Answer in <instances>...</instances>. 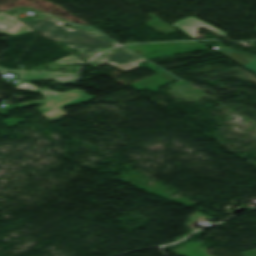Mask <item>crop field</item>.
Returning <instances> with one entry per match:
<instances>
[{
  "label": "crop field",
  "instance_id": "obj_1",
  "mask_svg": "<svg viewBox=\"0 0 256 256\" xmlns=\"http://www.w3.org/2000/svg\"><path fill=\"white\" fill-rule=\"evenodd\" d=\"M21 13L9 14L47 38L56 39L72 48L78 49L77 54L84 61H89L95 55L112 47L114 43L97 32H86L79 28H66L62 24L42 15L39 18L23 20Z\"/></svg>",
  "mask_w": 256,
  "mask_h": 256
},
{
  "label": "crop field",
  "instance_id": "obj_2",
  "mask_svg": "<svg viewBox=\"0 0 256 256\" xmlns=\"http://www.w3.org/2000/svg\"><path fill=\"white\" fill-rule=\"evenodd\" d=\"M51 92V94H49ZM45 100L27 102L22 104H17L19 108L37 105L45 103L48 106H43L37 111H39L44 117H46L49 121H54L60 118V115H64L65 113L61 112L59 109L70 104H75L86 99L92 98L91 96L81 92L80 90H71L65 93H55L53 91L44 90L42 91ZM47 95V96H45ZM52 95V97H50ZM53 98V100H51Z\"/></svg>",
  "mask_w": 256,
  "mask_h": 256
},
{
  "label": "crop field",
  "instance_id": "obj_3",
  "mask_svg": "<svg viewBox=\"0 0 256 256\" xmlns=\"http://www.w3.org/2000/svg\"><path fill=\"white\" fill-rule=\"evenodd\" d=\"M145 61L141 57L135 55L134 53L128 51L127 49L119 46L117 48L111 49L104 54L100 55L94 59L91 64L96 67L105 63H110L116 68L124 71L131 68L139 67L136 62Z\"/></svg>",
  "mask_w": 256,
  "mask_h": 256
},
{
  "label": "crop field",
  "instance_id": "obj_4",
  "mask_svg": "<svg viewBox=\"0 0 256 256\" xmlns=\"http://www.w3.org/2000/svg\"><path fill=\"white\" fill-rule=\"evenodd\" d=\"M14 72L20 75L22 79H43V78H53L58 82H69L75 78L76 73H57V72H48L41 71L42 73H35L36 70L28 71V70H9L0 67V73L5 72Z\"/></svg>",
  "mask_w": 256,
  "mask_h": 256
},
{
  "label": "crop field",
  "instance_id": "obj_5",
  "mask_svg": "<svg viewBox=\"0 0 256 256\" xmlns=\"http://www.w3.org/2000/svg\"><path fill=\"white\" fill-rule=\"evenodd\" d=\"M1 15H5L2 17ZM0 33L6 35H18L26 32L34 31L31 28L27 27L23 23L19 22L18 20L14 19L8 14L0 13Z\"/></svg>",
  "mask_w": 256,
  "mask_h": 256
},
{
  "label": "crop field",
  "instance_id": "obj_6",
  "mask_svg": "<svg viewBox=\"0 0 256 256\" xmlns=\"http://www.w3.org/2000/svg\"><path fill=\"white\" fill-rule=\"evenodd\" d=\"M218 52L227 56L228 58L232 59L233 61H235L236 63L242 66L249 64L253 61H256V55H249V54L233 51L228 48L218 50Z\"/></svg>",
  "mask_w": 256,
  "mask_h": 256
},
{
  "label": "crop field",
  "instance_id": "obj_7",
  "mask_svg": "<svg viewBox=\"0 0 256 256\" xmlns=\"http://www.w3.org/2000/svg\"><path fill=\"white\" fill-rule=\"evenodd\" d=\"M65 61H68V63H77V64H84L80 59L74 57L73 55L67 56L65 58ZM63 59L55 61V63H64Z\"/></svg>",
  "mask_w": 256,
  "mask_h": 256
},
{
  "label": "crop field",
  "instance_id": "obj_8",
  "mask_svg": "<svg viewBox=\"0 0 256 256\" xmlns=\"http://www.w3.org/2000/svg\"><path fill=\"white\" fill-rule=\"evenodd\" d=\"M26 87H28V88L31 89V90H37V89H38V88H36L34 85L29 84V85H26V86H24V87L18 89V90H24V88H26Z\"/></svg>",
  "mask_w": 256,
  "mask_h": 256
},
{
  "label": "crop field",
  "instance_id": "obj_9",
  "mask_svg": "<svg viewBox=\"0 0 256 256\" xmlns=\"http://www.w3.org/2000/svg\"><path fill=\"white\" fill-rule=\"evenodd\" d=\"M191 18H193V17H191ZM193 19H195V18H193ZM195 20H197V19H195ZM197 21H199V20H197ZM199 22H201V21H199ZM201 23H203V22H201ZM203 24H205V23H203ZM205 25H207V24H205ZM207 26H209V25H207ZM209 27H211V26H209ZM211 28H213V27H211ZM213 29H215V28H213ZM215 30H217V29H215ZM217 31H219V30H217Z\"/></svg>",
  "mask_w": 256,
  "mask_h": 256
}]
</instances>
